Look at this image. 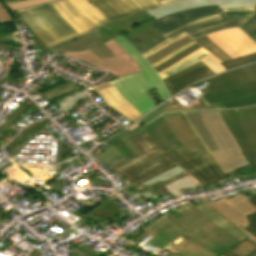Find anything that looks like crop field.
Listing matches in <instances>:
<instances>
[{"mask_svg":"<svg viewBox=\"0 0 256 256\" xmlns=\"http://www.w3.org/2000/svg\"><path fill=\"white\" fill-rule=\"evenodd\" d=\"M202 83L207 87L198 90L201 98L193 103L194 106L184 107L178 103L172 107L165 103L139 121L146 124L165 112L240 108L256 104V90L242 68L222 73L216 77L194 84V86Z\"/></svg>","mask_w":256,"mask_h":256,"instance_id":"crop-field-1","label":"crop field"},{"mask_svg":"<svg viewBox=\"0 0 256 256\" xmlns=\"http://www.w3.org/2000/svg\"><path fill=\"white\" fill-rule=\"evenodd\" d=\"M17 13L32 32L48 47L98 27L81 14L68 0H56L18 10Z\"/></svg>","mask_w":256,"mask_h":256,"instance_id":"crop-field-2","label":"crop field"},{"mask_svg":"<svg viewBox=\"0 0 256 256\" xmlns=\"http://www.w3.org/2000/svg\"><path fill=\"white\" fill-rule=\"evenodd\" d=\"M185 114L225 174L249 164L218 110Z\"/></svg>","mask_w":256,"mask_h":256,"instance_id":"crop-field-3","label":"crop field"},{"mask_svg":"<svg viewBox=\"0 0 256 256\" xmlns=\"http://www.w3.org/2000/svg\"><path fill=\"white\" fill-rule=\"evenodd\" d=\"M153 21L147 12L135 14L122 20H113L101 28L53 50L57 54H62L63 52L90 49L101 58L113 57L114 55L103 43L127 29L154 47L166 39L150 31Z\"/></svg>","mask_w":256,"mask_h":256,"instance_id":"crop-field-4","label":"crop field"},{"mask_svg":"<svg viewBox=\"0 0 256 256\" xmlns=\"http://www.w3.org/2000/svg\"><path fill=\"white\" fill-rule=\"evenodd\" d=\"M113 40L130 54L144 71L119 78L111 83L127 102L144 115L155 107L144 91L155 87L163 101L170 96L160 77L125 38L120 35Z\"/></svg>","mask_w":256,"mask_h":256,"instance_id":"crop-field-5","label":"crop field"},{"mask_svg":"<svg viewBox=\"0 0 256 256\" xmlns=\"http://www.w3.org/2000/svg\"><path fill=\"white\" fill-rule=\"evenodd\" d=\"M143 152L120 164L111 166L120 177L126 176L135 186L176 166L147 132L131 138Z\"/></svg>","mask_w":256,"mask_h":256,"instance_id":"crop-field-6","label":"crop field"},{"mask_svg":"<svg viewBox=\"0 0 256 256\" xmlns=\"http://www.w3.org/2000/svg\"><path fill=\"white\" fill-rule=\"evenodd\" d=\"M180 113L190 132L194 135L207 154L203 156H199L197 153L190 154L183 148L179 149L176 144L163 149L164 153H167L179 166L205 186L226 178L227 176L219 168L205 144L186 119L184 113Z\"/></svg>","mask_w":256,"mask_h":256,"instance_id":"crop-field-7","label":"crop field"},{"mask_svg":"<svg viewBox=\"0 0 256 256\" xmlns=\"http://www.w3.org/2000/svg\"><path fill=\"white\" fill-rule=\"evenodd\" d=\"M219 111L244 157L250 164L256 162V106Z\"/></svg>","mask_w":256,"mask_h":256,"instance_id":"crop-field-8","label":"crop field"},{"mask_svg":"<svg viewBox=\"0 0 256 256\" xmlns=\"http://www.w3.org/2000/svg\"><path fill=\"white\" fill-rule=\"evenodd\" d=\"M105 45L116 57L110 59H101L90 50L63 53V55L80 60L119 77L142 71L133 58L121 47H119L113 40L105 43Z\"/></svg>","mask_w":256,"mask_h":256,"instance_id":"crop-field-9","label":"crop field"},{"mask_svg":"<svg viewBox=\"0 0 256 256\" xmlns=\"http://www.w3.org/2000/svg\"><path fill=\"white\" fill-rule=\"evenodd\" d=\"M222 198L216 202L211 203L206 197L202 199L207 202L217 213L226 218L230 223L240 229L244 234H246L249 239L256 243V237H253L244 228L249 224L246 217L256 211V207L247 202L248 200L242 194L232 198L228 201L219 194Z\"/></svg>","mask_w":256,"mask_h":256,"instance_id":"crop-field-10","label":"crop field"},{"mask_svg":"<svg viewBox=\"0 0 256 256\" xmlns=\"http://www.w3.org/2000/svg\"><path fill=\"white\" fill-rule=\"evenodd\" d=\"M145 131L149 132L152 135V137L156 140V142L159 144V146L162 149L174 143H176L179 146V148L182 147L181 143L178 141V139L175 137V135L172 133L169 127L166 125V123L161 118V116L158 117L156 120H154L152 123L146 125L145 127L133 133H131L126 129L122 133H120L119 135L115 136L114 138H112L111 140L105 143L111 146L112 144H115L123 140L135 156L141 153V151L135 145V143L130 139V137Z\"/></svg>","mask_w":256,"mask_h":256,"instance_id":"crop-field-11","label":"crop field"},{"mask_svg":"<svg viewBox=\"0 0 256 256\" xmlns=\"http://www.w3.org/2000/svg\"><path fill=\"white\" fill-rule=\"evenodd\" d=\"M207 37L223 49L232 59L256 52V44L239 28L223 30L207 35Z\"/></svg>","mask_w":256,"mask_h":256,"instance_id":"crop-field-12","label":"crop field"},{"mask_svg":"<svg viewBox=\"0 0 256 256\" xmlns=\"http://www.w3.org/2000/svg\"><path fill=\"white\" fill-rule=\"evenodd\" d=\"M219 7L217 6H204L197 7L191 10L182 11L169 16H165L154 21L152 29L160 35H164L177 28L185 26L198 19L219 14ZM151 29V30H152Z\"/></svg>","mask_w":256,"mask_h":256,"instance_id":"crop-field-13","label":"crop field"},{"mask_svg":"<svg viewBox=\"0 0 256 256\" xmlns=\"http://www.w3.org/2000/svg\"><path fill=\"white\" fill-rule=\"evenodd\" d=\"M248 20H222L221 15H216L210 18L198 20L185 27L177 29L166 34L165 38H170L176 34L186 31L192 38H196L206 33L227 29L231 27H241Z\"/></svg>","mask_w":256,"mask_h":256,"instance_id":"crop-field-14","label":"crop field"},{"mask_svg":"<svg viewBox=\"0 0 256 256\" xmlns=\"http://www.w3.org/2000/svg\"><path fill=\"white\" fill-rule=\"evenodd\" d=\"M181 216L185 217L195 226L226 245L227 247H231L235 243L239 242L234 239L232 236L228 235L222 229L218 228L212 222H210L196 207L192 206L186 210H182L181 208L175 210Z\"/></svg>","mask_w":256,"mask_h":256,"instance_id":"crop-field-15","label":"crop field"},{"mask_svg":"<svg viewBox=\"0 0 256 256\" xmlns=\"http://www.w3.org/2000/svg\"><path fill=\"white\" fill-rule=\"evenodd\" d=\"M211 75H214V73L201 62L183 72L170 76L163 81L172 96L178 91L184 89L187 85Z\"/></svg>","mask_w":256,"mask_h":256,"instance_id":"crop-field-16","label":"crop field"},{"mask_svg":"<svg viewBox=\"0 0 256 256\" xmlns=\"http://www.w3.org/2000/svg\"><path fill=\"white\" fill-rule=\"evenodd\" d=\"M161 116L182 143L184 149L191 153L197 152L199 155L205 154L202 147L184 124L179 112L163 114Z\"/></svg>","mask_w":256,"mask_h":256,"instance_id":"crop-field-17","label":"crop field"},{"mask_svg":"<svg viewBox=\"0 0 256 256\" xmlns=\"http://www.w3.org/2000/svg\"><path fill=\"white\" fill-rule=\"evenodd\" d=\"M103 101L111 108L117 110L130 121H134L142 115L130 104H128L111 86L106 89L98 90Z\"/></svg>","mask_w":256,"mask_h":256,"instance_id":"crop-field-18","label":"crop field"},{"mask_svg":"<svg viewBox=\"0 0 256 256\" xmlns=\"http://www.w3.org/2000/svg\"><path fill=\"white\" fill-rule=\"evenodd\" d=\"M200 201L203 203L197 208L214 224H216L218 227L222 228L224 231L232 235L237 240H242L244 238H248L246 235H244L240 230H238L236 227L231 225L227 220H225L223 217L218 215L208 204H206L201 198H199ZM218 221V223H216Z\"/></svg>","mask_w":256,"mask_h":256,"instance_id":"crop-field-19","label":"crop field"},{"mask_svg":"<svg viewBox=\"0 0 256 256\" xmlns=\"http://www.w3.org/2000/svg\"><path fill=\"white\" fill-rule=\"evenodd\" d=\"M110 20L123 18L130 14L119 0H90Z\"/></svg>","mask_w":256,"mask_h":256,"instance_id":"crop-field-20","label":"crop field"},{"mask_svg":"<svg viewBox=\"0 0 256 256\" xmlns=\"http://www.w3.org/2000/svg\"><path fill=\"white\" fill-rule=\"evenodd\" d=\"M185 237L190 239V242L208 250L215 254H218L228 248L217 242L216 240L212 239L208 235L204 234L203 232L195 229L188 234L184 235Z\"/></svg>","mask_w":256,"mask_h":256,"instance_id":"crop-field-21","label":"crop field"},{"mask_svg":"<svg viewBox=\"0 0 256 256\" xmlns=\"http://www.w3.org/2000/svg\"><path fill=\"white\" fill-rule=\"evenodd\" d=\"M188 9L219 4L220 8L256 6V0H188L184 3Z\"/></svg>","mask_w":256,"mask_h":256,"instance_id":"crop-field-22","label":"crop field"},{"mask_svg":"<svg viewBox=\"0 0 256 256\" xmlns=\"http://www.w3.org/2000/svg\"><path fill=\"white\" fill-rule=\"evenodd\" d=\"M81 13L95 24L101 26L110 21L99 10H97L88 0H69Z\"/></svg>","mask_w":256,"mask_h":256,"instance_id":"crop-field-23","label":"crop field"},{"mask_svg":"<svg viewBox=\"0 0 256 256\" xmlns=\"http://www.w3.org/2000/svg\"><path fill=\"white\" fill-rule=\"evenodd\" d=\"M223 19H251L241 29L256 41V12L221 13Z\"/></svg>","mask_w":256,"mask_h":256,"instance_id":"crop-field-24","label":"crop field"},{"mask_svg":"<svg viewBox=\"0 0 256 256\" xmlns=\"http://www.w3.org/2000/svg\"><path fill=\"white\" fill-rule=\"evenodd\" d=\"M94 156L97 158L99 162L104 161L108 167L128 159L126 155H121L120 151L117 148H115V145L99 153L94 154Z\"/></svg>","mask_w":256,"mask_h":256,"instance_id":"crop-field-25","label":"crop field"},{"mask_svg":"<svg viewBox=\"0 0 256 256\" xmlns=\"http://www.w3.org/2000/svg\"><path fill=\"white\" fill-rule=\"evenodd\" d=\"M210 53H208L206 50H201L195 54H193L192 56L188 57L187 59H185L183 62H181L179 65H177L176 67L160 74V77L163 79L165 77H168L170 75H173L175 73H178L180 71H183L199 62H201L199 59L208 55Z\"/></svg>","mask_w":256,"mask_h":256,"instance_id":"crop-field-26","label":"crop field"},{"mask_svg":"<svg viewBox=\"0 0 256 256\" xmlns=\"http://www.w3.org/2000/svg\"><path fill=\"white\" fill-rule=\"evenodd\" d=\"M184 233H186V231L176 225L164 234L157 237L155 240L149 243V245H153L155 247H158L159 249H163L171 241Z\"/></svg>","mask_w":256,"mask_h":256,"instance_id":"crop-field-27","label":"crop field"},{"mask_svg":"<svg viewBox=\"0 0 256 256\" xmlns=\"http://www.w3.org/2000/svg\"><path fill=\"white\" fill-rule=\"evenodd\" d=\"M133 14L160 7L155 0H120Z\"/></svg>","mask_w":256,"mask_h":256,"instance_id":"crop-field-28","label":"crop field"},{"mask_svg":"<svg viewBox=\"0 0 256 256\" xmlns=\"http://www.w3.org/2000/svg\"><path fill=\"white\" fill-rule=\"evenodd\" d=\"M194 41L198 45H200L201 47L206 49L208 52L213 54L221 62L231 59L223 50H221L216 44H214L212 41H210L206 36L198 38ZM208 44H211V46H208Z\"/></svg>","mask_w":256,"mask_h":256,"instance_id":"crop-field-29","label":"crop field"},{"mask_svg":"<svg viewBox=\"0 0 256 256\" xmlns=\"http://www.w3.org/2000/svg\"><path fill=\"white\" fill-rule=\"evenodd\" d=\"M184 1L186 0L177 1L168 5L162 6L161 8H157L147 12L150 14L151 17L156 19L165 15H169L178 11L185 10L186 7L181 4Z\"/></svg>","mask_w":256,"mask_h":256,"instance_id":"crop-field-30","label":"crop field"},{"mask_svg":"<svg viewBox=\"0 0 256 256\" xmlns=\"http://www.w3.org/2000/svg\"><path fill=\"white\" fill-rule=\"evenodd\" d=\"M174 225H176L174 222L162 216L160 219L152 222V224L146 227L144 230L157 237Z\"/></svg>","mask_w":256,"mask_h":256,"instance_id":"crop-field-31","label":"crop field"},{"mask_svg":"<svg viewBox=\"0 0 256 256\" xmlns=\"http://www.w3.org/2000/svg\"><path fill=\"white\" fill-rule=\"evenodd\" d=\"M192 41L189 36L184 37L172 44H170L169 46H167L166 48L162 49L161 51H159L158 53L146 58L150 63H153L159 59H161L162 57L166 56L167 54H169L170 52L174 51L175 49L179 48L180 46L188 43Z\"/></svg>","mask_w":256,"mask_h":256,"instance_id":"crop-field-32","label":"crop field"},{"mask_svg":"<svg viewBox=\"0 0 256 256\" xmlns=\"http://www.w3.org/2000/svg\"><path fill=\"white\" fill-rule=\"evenodd\" d=\"M173 250L178 251L177 255L184 254L187 256H216L192 243H190L183 249L177 245L173 248Z\"/></svg>","mask_w":256,"mask_h":256,"instance_id":"crop-field-33","label":"crop field"},{"mask_svg":"<svg viewBox=\"0 0 256 256\" xmlns=\"http://www.w3.org/2000/svg\"><path fill=\"white\" fill-rule=\"evenodd\" d=\"M196 187L194 183L189 179L188 176L179 179L167 186L165 188L176 198V196H179V190L183 188H194Z\"/></svg>","mask_w":256,"mask_h":256,"instance_id":"crop-field-34","label":"crop field"},{"mask_svg":"<svg viewBox=\"0 0 256 256\" xmlns=\"http://www.w3.org/2000/svg\"><path fill=\"white\" fill-rule=\"evenodd\" d=\"M201 48L200 46H198L197 44L184 50L183 52H181L180 54L176 55L175 57L169 59L168 61L164 62L163 64L159 65L158 67L154 68L157 72L162 71L170 66H172L173 64H175L176 62H178L179 60H181L182 58L188 56L189 54L193 53L194 51H196L197 49Z\"/></svg>","mask_w":256,"mask_h":256,"instance_id":"crop-field-35","label":"crop field"},{"mask_svg":"<svg viewBox=\"0 0 256 256\" xmlns=\"http://www.w3.org/2000/svg\"><path fill=\"white\" fill-rule=\"evenodd\" d=\"M256 61V53L249 54L231 61L223 62L221 65L226 69H231L233 67L245 65L250 62H255Z\"/></svg>","mask_w":256,"mask_h":256,"instance_id":"crop-field-36","label":"crop field"},{"mask_svg":"<svg viewBox=\"0 0 256 256\" xmlns=\"http://www.w3.org/2000/svg\"><path fill=\"white\" fill-rule=\"evenodd\" d=\"M231 249L235 250L236 252L244 256H249L256 250V244L248 239H245L237 243L236 245L232 246Z\"/></svg>","mask_w":256,"mask_h":256,"instance_id":"crop-field-37","label":"crop field"},{"mask_svg":"<svg viewBox=\"0 0 256 256\" xmlns=\"http://www.w3.org/2000/svg\"><path fill=\"white\" fill-rule=\"evenodd\" d=\"M87 93H90V91L88 90H85V91H82L78 94H75L71 97H67L61 101H58L59 105H60V108L63 110L64 109V112L66 111H69L70 109L73 108V106L77 103V101L79 99H84V96L85 94Z\"/></svg>","mask_w":256,"mask_h":256,"instance_id":"crop-field-38","label":"crop field"},{"mask_svg":"<svg viewBox=\"0 0 256 256\" xmlns=\"http://www.w3.org/2000/svg\"><path fill=\"white\" fill-rule=\"evenodd\" d=\"M78 88L79 87L76 86V85H73V84H70V83H66V84H64L62 86H59L57 88H54V89H52L50 91L45 92L46 95L41 97V98H39V99H42V98H44L46 96H48L51 99H53V98H55V97H57L59 95L65 94L67 92L73 91V90L78 89ZM39 99H35V101H37Z\"/></svg>","mask_w":256,"mask_h":256,"instance_id":"crop-field-39","label":"crop field"},{"mask_svg":"<svg viewBox=\"0 0 256 256\" xmlns=\"http://www.w3.org/2000/svg\"><path fill=\"white\" fill-rule=\"evenodd\" d=\"M133 46L134 48L140 52L141 54L153 47L147 44L145 41L140 39L139 37L135 36L131 32L124 36Z\"/></svg>","mask_w":256,"mask_h":256,"instance_id":"crop-field-40","label":"crop field"},{"mask_svg":"<svg viewBox=\"0 0 256 256\" xmlns=\"http://www.w3.org/2000/svg\"><path fill=\"white\" fill-rule=\"evenodd\" d=\"M183 173V171L177 166L155 178H152L151 180L145 182V184L148 183H155V182H159V181H164V180H169L175 176H177L178 174Z\"/></svg>","mask_w":256,"mask_h":256,"instance_id":"crop-field-41","label":"crop field"},{"mask_svg":"<svg viewBox=\"0 0 256 256\" xmlns=\"http://www.w3.org/2000/svg\"><path fill=\"white\" fill-rule=\"evenodd\" d=\"M200 60L204 62L215 74L225 71V69L219 64L220 61L211 54L209 57L206 56Z\"/></svg>","mask_w":256,"mask_h":256,"instance_id":"crop-field-42","label":"crop field"},{"mask_svg":"<svg viewBox=\"0 0 256 256\" xmlns=\"http://www.w3.org/2000/svg\"><path fill=\"white\" fill-rule=\"evenodd\" d=\"M253 205L256 206V195L250 198ZM250 220L248 221L250 224L245 228L248 232H250L253 236L256 235V212L248 217Z\"/></svg>","mask_w":256,"mask_h":256,"instance_id":"crop-field-43","label":"crop field"},{"mask_svg":"<svg viewBox=\"0 0 256 256\" xmlns=\"http://www.w3.org/2000/svg\"><path fill=\"white\" fill-rule=\"evenodd\" d=\"M184 36H187V34H186V33H183V34H181V35H178V36H176V37H174V38H172V39H170V40L164 42L163 44H161V45L155 47L154 49H152V50H150V51H148L147 53L144 54L145 58L148 57L149 55H151V54H153V53H155V52L161 50L162 48L166 47V46L169 45L170 43H172V42H174V41H176V40H178L179 38L184 37Z\"/></svg>","mask_w":256,"mask_h":256,"instance_id":"crop-field-44","label":"crop field"},{"mask_svg":"<svg viewBox=\"0 0 256 256\" xmlns=\"http://www.w3.org/2000/svg\"><path fill=\"white\" fill-rule=\"evenodd\" d=\"M48 1H51V0H30V1H25V2L10 5V8L11 10H15V9H20V8L48 2Z\"/></svg>","mask_w":256,"mask_h":256,"instance_id":"crop-field-45","label":"crop field"},{"mask_svg":"<svg viewBox=\"0 0 256 256\" xmlns=\"http://www.w3.org/2000/svg\"><path fill=\"white\" fill-rule=\"evenodd\" d=\"M193 44H195L194 41H192V42H190V43H188V44H186V45L180 47L179 49H177V50H175L174 52L170 53L169 55H167L166 57L162 58L161 60H159V61H157V62L151 64L152 67L154 68V67L158 66L159 64H161V63H163L164 61L168 60L169 58L175 56L176 54L180 53L182 50H184L185 48H187V47H189V46H191V45H193Z\"/></svg>","mask_w":256,"mask_h":256,"instance_id":"crop-field-46","label":"crop field"},{"mask_svg":"<svg viewBox=\"0 0 256 256\" xmlns=\"http://www.w3.org/2000/svg\"><path fill=\"white\" fill-rule=\"evenodd\" d=\"M167 217L170 218L171 220H173L174 222L178 223L180 226H182L184 229H186L188 231H191V230L197 228L183 217H180L178 219H176V218L174 219L169 215H167Z\"/></svg>","mask_w":256,"mask_h":256,"instance_id":"crop-field-47","label":"crop field"},{"mask_svg":"<svg viewBox=\"0 0 256 256\" xmlns=\"http://www.w3.org/2000/svg\"><path fill=\"white\" fill-rule=\"evenodd\" d=\"M184 176H186V174L184 173V174H180V175H178L177 177H175V178H173V179H171V180H169V181H166V182H164V183H162V184H159V183H156V184H154L164 195H166V196H170L173 200H175V198L163 187L164 185H166V184H168V183H170V182H172V181H174V180H176V179H178V178H182V177H184Z\"/></svg>","mask_w":256,"mask_h":256,"instance_id":"crop-field-48","label":"crop field"},{"mask_svg":"<svg viewBox=\"0 0 256 256\" xmlns=\"http://www.w3.org/2000/svg\"><path fill=\"white\" fill-rule=\"evenodd\" d=\"M10 15L7 13V11L2 7L0 4V23L6 22V21H11Z\"/></svg>","mask_w":256,"mask_h":256,"instance_id":"crop-field-49","label":"crop field"},{"mask_svg":"<svg viewBox=\"0 0 256 256\" xmlns=\"http://www.w3.org/2000/svg\"><path fill=\"white\" fill-rule=\"evenodd\" d=\"M256 7L220 9L221 12L229 11H255Z\"/></svg>","mask_w":256,"mask_h":256,"instance_id":"crop-field-50","label":"crop field"},{"mask_svg":"<svg viewBox=\"0 0 256 256\" xmlns=\"http://www.w3.org/2000/svg\"><path fill=\"white\" fill-rule=\"evenodd\" d=\"M243 69L246 72L249 80L251 81V83L253 84V86L256 89V78H255V76L251 73V71L247 68V66L243 67Z\"/></svg>","mask_w":256,"mask_h":256,"instance_id":"crop-field-51","label":"crop field"},{"mask_svg":"<svg viewBox=\"0 0 256 256\" xmlns=\"http://www.w3.org/2000/svg\"><path fill=\"white\" fill-rule=\"evenodd\" d=\"M119 145H121V146L124 148V150H125L126 153L128 154V155H127L128 158L133 157L132 153L129 151V149L126 147V145L123 143V141L119 142Z\"/></svg>","mask_w":256,"mask_h":256,"instance_id":"crop-field-52","label":"crop field"},{"mask_svg":"<svg viewBox=\"0 0 256 256\" xmlns=\"http://www.w3.org/2000/svg\"><path fill=\"white\" fill-rule=\"evenodd\" d=\"M167 155V154H166ZM168 156V155H167ZM169 157V156H168ZM170 158V157H169ZM171 159V158H170ZM182 169V168H181ZM183 170V169H182ZM184 171V170H183ZM190 178H191V180L196 184V186L199 188V189H201V188H203V187H205V186H202L200 183H198L194 178H192L186 171H184Z\"/></svg>","mask_w":256,"mask_h":256,"instance_id":"crop-field-53","label":"crop field"},{"mask_svg":"<svg viewBox=\"0 0 256 256\" xmlns=\"http://www.w3.org/2000/svg\"><path fill=\"white\" fill-rule=\"evenodd\" d=\"M109 86H111L110 82H106V83H104V84L97 85V86H95L94 88H95L96 90H98V89L106 88V87H109Z\"/></svg>","mask_w":256,"mask_h":256,"instance_id":"crop-field-54","label":"crop field"},{"mask_svg":"<svg viewBox=\"0 0 256 256\" xmlns=\"http://www.w3.org/2000/svg\"><path fill=\"white\" fill-rule=\"evenodd\" d=\"M139 195H144V196H146V197H154L152 194H148V193H145V192H142V193H136V194H134V198H137Z\"/></svg>","mask_w":256,"mask_h":256,"instance_id":"crop-field-55","label":"crop field"},{"mask_svg":"<svg viewBox=\"0 0 256 256\" xmlns=\"http://www.w3.org/2000/svg\"><path fill=\"white\" fill-rule=\"evenodd\" d=\"M147 236H150V234H145V235H143V236H141L140 238H138L137 240H139L140 242L143 240V239H145ZM153 237V236H152ZM153 239H155V237H153L151 240H148L147 242H146V244H148L149 242H151Z\"/></svg>","mask_w":256,"mask_h":256,"instance_id":"crop-field-56","label":"crop field"},{"mask_svg":"<svg viewBox=\"0 0 256 256\" xmlns=\"http://www.w3.org/2000/svg\"><path fill=\"white\" fill-rule=\"evenodd\" d=\"M174 1H177V0H163V1H159L158 3L160 6H162V5L174 2Z\"/></svg>","mask_w":256,"mask_h":256,"instance_id":"crop-field-57","label":"crop field"},{"mask_svg":"<svg viewBox=\"0 0 256 256\" xmlns=\"http://www.w3.org/2000/svg\"><path fill=\"white\" fill-rule=\"evenodd\" d=\"M4 1L7 3V5H9V4H13V3H17L25 0H4Z\"/></svg>","mask_w":256,"mask_h":256,"instance_id":"crop-field-58","label":"crop field"},{"mask_svg":"<svg viewBox=\"0 0 256 256\" xmlns=\"http://www.w3.org/2000/svg\"><path fill=\"white\" fill-rule=\"evenodd\" d=\"M248 67H249V69L253 72V74L256 76V64H254V65H249Z\"/></svg>","mask_w":256,"mask_h":256,"instance_id":"crop-field-59","label":"crop field"},{"mask_svg":"<svg viewBox=\"0 0 256 256\" xmlns=\"http://www.w3.org/2000/svg\"><path fill=\"white\" fill-rule=\"evenodd\" d=\"M79 37H81V36H79ZM76 38H78V37H74V38H72V39H70V40H68V41H66V42H63V43H61V44L52 46L51 49H53V48H55V47H58V46H60V45H62V44H65V43H67V42H70V41H72V40H74V39H76Z\"/></svg>","mask_w":256,"mask_h":256,"instance_id":"crop-field-60","label":"crop field"},{"mask_svg":"<svg viewBox=\"0 0 256 256\" xmlns=\"http://www.w3.org/2000/svg\"><path fill=\"white\" fill-rule=\"evenodd\" d=\"M190 242L183 240L182 242H180L178 245L181 246L182 248L185 247L187 244H189Z\"/></svg>","mask_w":256,"mask_h":256,"instance_id":"crop-field-61","label":"crop field"},{"mask_svg":"<svg viewBox=\"0 0 256 256\" xmlns=\"http://www.w3.org/2000/svg\"><path fill=\"white\" fill-rule=\"evenodd\" d=\"M224 256H239L237 254H235L234 252L230 251V252H227L225 254H223Z\"/></svg>","mask_w":256,"mask_h":256,"instance_id":"crop-field-62","label":"crop field"},{"mask_svg":"<svg viewBox=\"0 0 256 256\" xmlns=\"http://www.w3.org/2000/svg\"><path fill=\"white\" fill-rule=\"evenodd\" d=\"M38 249L36 248H33V250L31 251L30 255L29 256H32ZM40 254H36L35 256H39Z\"/></svg>","mask_w":256,"mask_h":256,"instance_id":"crop-field-63","label":"crop field"},{"mask_svg":"<svg viewBox=\"0 0 256 256\" xmlns=\"http://www.w3.org/2000/svg\"><path fill=\"white\" fill-rule=\"evenodd\" d=\"M162 256H163V255H162ZM165 256H177V255H175V254H173V253H170V252H167V254H166ZM181 256H184V255H181Z\"/></svg>","mask_w":256,"mask_h":256,"instance_id":"crop-field-64","label":"crop field"},{"mask_svg":"<svg viewBox=\"0 0 256 256\" xmlns=\"http://www.w3.org/2000/svg\"><path fill=\"white\" fill-rule=\"evenodd\" d=\"M201 49H202V48H201ZM199 50H200V49H199ZM197 51H198V50H197ZM194 53H195V52H194ZM191 55H192V54H191ZM189 56H190V55H189ZM186 58H187V57H186ZM184 59H185V58H184ZM184 59H182V60H184ZM182 60H181V61H182ZM181 61H179L178 63H180ZM178 63H176L175 65H177ZM175 65H173V66H175ZM173 66H172V67H173ZM170 68H171V67H170ZM168 69H169V68H168ZM166 70H167V69H166ZM164 71H165V70H164ZM162 72H163V71H162ZM159 73H161V72H159ZM159 73H158V74H159Z\"/></svg>","mask_w":256,"mask_h":256,"instance_id":"crop-field-65","label":"crop field"},{"mask_svg":"<svg viewBox=\"0 0 256 256\" xmlns=\"http://www.w3.org/2000/svg\"><path fill=\"white\" fill-rule=\"evenodd\" d=\"M251 256H256V251Z\"/></svg>","mask_w":256,"mask_h":256,"instance_id":"crop-field-66","label":"crop field"},{"mask_svg":"<svg viewBox=\"0 0 256 256\" xmlns=\"http://www.w3.org/2000/svg\"><path fill=\"white\" fill-rule=\"evenodd\" d=\"M181 238L186 239V238H184L183 236H182ZM187 240H188V239H187Z\"/></svg>","mask_w":256,"mask_h":256,"instance_id":"crop-field-67","label":"crop field"},{"mask_svg":"<svg viewBox=\"0 0 256 256\" xmlns=\"http://www.w3.org/2000/svg\"><path fill=\"white\" fill-rule=\"evenodd\" d=\"M85 256H90V255L86 254Z\"/></svg>","mask_w":256,"mask_h":256,"instance_id":"crop-field-68","label":"crop field"},{"mask_svg":"<svg viewBox=\"0 0 256 256\" xmlns=\"http://www.w3.org/2000/svg\"><path fill=\"white\" fill-rule=\"evenodd\" d=\"M156 1H158V0H156Z\"/></svg>","mask_w":256,"mask_h":256,"instance_id":"crop-field-69","label":"crop field"}]
</instances>
